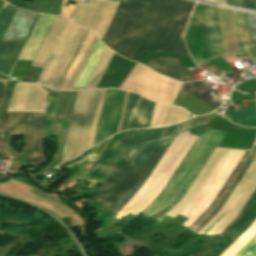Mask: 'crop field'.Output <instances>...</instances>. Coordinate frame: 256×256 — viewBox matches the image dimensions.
Masks as SVG:
<instances>
[{
  "mask_svg": "<svg viewBox=\"0 0 256 256\" xmlns=\"http://www.w3.org/2000/svg\"><path fill=\"white\" fill-rule=\"evenodd\" d=\"M193 4L182 0H121L102 41L138 63L160 52L188 54L179 36Z\"/></svg>",
  "mask_w": 256,
  "mask_h": 256,
  "instance_id": "crop-field-1",
  "label": "crop field"
},
{
  "mask_svg": "<svg viewBox=\"0 0 256 256\" xmlns=\"http://www.w3.org/2000/svg\"><path fill=\"white\" fill-rule=\"evenodd\" d=\"M185 122L144 129L132 150L166 151ZM148 151H130L91 201L118 214L144 184L164 154Z\"/></svg>",
  "mask_w": 256,
  "mask_h": 256,
  "instance_id": "crop-field-2",
  "label": "crop field"
},
{
  "mask_svg": "<svg viewBox=\"0 0 256 256\" xmlns=\"http://www.w3.org/2000/svg\"><path fill=\"white\" fill-rule=\"evenodd\" d=\"M225 135V132L206 128L165 191L143 214L153 217L172 205L164 213L167 214L183 198ZM226 152L227 150L225 149H216L184 198L167 214V216L174 218L177 214L180 215L193 202Z\"/></svg>",
  "mask_w": 256,
  "mask_h": 256,
  "instance_id": "crop-field-3",
  "label": "crop field"
},
{
  "mask_svg": "<svg viewBox=\"0 0 256 256\" xmlns=\"http://www.w3.org/2000/svg\"><path fill=\"white\" fill-rule=\"evenodd\" d=\"M105 91H78L61 163L92 146Z\"/></svg>",
  "mask_w": 256,
  "mask_h": 256,
  "instance_id": "crop-field-4",
  "label": "crop field"
},
{
  "mask_svg": "<svg viewBox=\"0 0 256 256\" xmlns=\"http://www.w3.org/2000/svg\"><path fill=\"white\" fill-rule=\"evenodd\" d=\"M197 138L189 134L174 139L151 176L116 218L121 220L129 213L137 215L146 208L162 191Z\"/></svg>",
  "mask_w": 256,
  "mask_h": 256,
  "instance_id": "crop-field-5",
  "label": "crop field"
},
{
  "mask_svg": "<svg viewBox=\"0 0 256 256\" xmlns=\"http://www.w3.org/2000/svg\"><path fill=\"white\" fill-rule=\"evenodd\" d=\"M185 41L191 56L216 58L225 54L216 7L197 5Z\"/></svg>",
  "mask_w": 256,
  "mask_h": 256,
  "instance_id": "crop-field-6",
  "label": "crop field"
},
{
  "mask_svg": "<svg viewBox=\"0 0 256 256\" xmlns=\"http://www.w3.org/2000/svg\"><path fill=\"white\" fill-rule=\"evenodd\" d=\"M256 187V157L250 164L249 168L236 185L220 211L198 232V234H202L213 222L214 220L226 209L230 208L205 234L214 235L218 234L227 223L238 213L243 204L249 198L251 193ZM256 198V189L247 200L245 205L239 211V213L228 223V225L219 233V234H227L232 227L241 219L250 205Z\"/></svg>",
  "mask_w": 256,
  "mask_h": 256,
  "instance_id": "crop-field-7",
  "label": "crop field"
},
{
  "mask_svg": "<svg viewBox=\"0 0 256 256\" xmlns=\"http://www.w3.org/2000/svg\"><path fill=\"white\" fill-rule=\"evenodd\" d=\"M6 81H0V106L3 102ZM43 113H16L7 112L0 127V140L2 128H11L10 135H25L28 153L32 165L47 162L43 153ZM0 157H7V153L2 149L0 142Z\"/></svg>",
  "mask_w": 256,
  "mask_h": 256,
  "instance_id": "crop-field-8",
  "label": "crop field"
},
{
  "mask_svg": "<svg viewBox=\"0 0 256 256\" xmlns=\"http://www.w3.org/2000/svg\"><path fill=\"white\" fill-rule=\"evenodd\" d=\"M86 29L68 21L37 83L56 89Z\"/></svg>",
  "mask_w": 256,
  "mask_h": 256,
  "instance_id": "crop-field-9",
  "label": "crop field"
},
{
  "mask_svg": "<svg viewBox=\"0 0 256 256\" xmlns=\"http://www.w3.org/2000/svg\"><path fill=\"white\" fill-rule=\"evenodd\" d=\"M125 94H126V92L116 90V89L107 90L105 100H104V104H103V108H102L100 121H99V125H98V129H97V133H96V137H95V141H94L93 145L98 144L99 142L103 141L105 138H107V137H109V136H111V135H113L117 132L118 122H119V118H120V114H121ZM128 94L129 93L127 92L125 102H124L123 111H122V115H121V120H120V124H119V128H118V132L120 130V126H121V122H122V118H123V114H124ZM131 94L132 93L129 94V98H128V102H127V106H126V110H125L121 130H123V128H124L125 119H126V115H127V110H128Z\"/></svg>",
  "mask_w": 256,
  "mask_h": 256,
  "instance_id": "crop-field-10",
  "label": "crop field"
},
{
  "mask_svg": "<svg viewBox=\"0 0 256 256\" xmlns=\"http://www.w3.org/2000/svg\"><path fill=\"white\" fill-rule=\"evenodd\" d=\"M102 1L89 0L88 4H79L71 20L88 28ZM118 3L117 1L104 0L91 22L89 29L100 39H102L108 27Z\"/></svg>",
  "mask_w": 256,
  "mask_h": 256,
  "instance_id": "crop-field-11",
  "label": "crop field"
},
{
  "mask_svg": "<svg viewBox=\"0 0 256 256\" xmlns=\"http://www.w3.org/2000/svg\"><path fill=\"white\" fill-rule=\"evenodd\" d=\"M97 41L96 36L92 33L79 61L77 62L64 90H72L84 64L86 63L95 43ZM105 45L98 39L86 65L84 66L73 90H78V89H84L90 75L92 74L97 62L99 61L104 49Z\"/></svg>",
  "mask_w": 256,
  "mask_h": 256,
  "instance_id": "crop-field-12",
  "label": "crop field"
},
{
  "mask_svg": "<svg viewBox=\"0 0 256 256\" xmlns=\"http://www.w3.org/2000/svg\"><path fill=\"white\" fill-rule=\"evenodd\" d=\"M35 85L16 83L7 111L44 112L48 88Z\"/></svg>",
  "mask_w": 256,
  "mask_h": 256,
  "instance_id": "crop-field-13",
  "label": "crop field"
},
{
  "mask_svg": "<svg viewBox=\"0 0 256 256\" xmlns=\"http://www.w3.org/2000/svg\"><path fill=\"white\" fill-rule=\"evenodd\" d=\"M256 153V145L252 149L251 152L246 151L239 164L227 180L226 184L214 199V201L210 204V206L188 227L194 233L217 211L221 203L224 201L242 172L245 170L251 159Z\"/></svg>",
  "mask_w": 256,
  "mask_h": 256,
  "instance_id": "crop-field-14",
  "label": "crop field"
},
{
  "mask_svg": "<svg viewBox=\"0 0 256 256\" xmlns=\"http://www.w3.org/2000/svg\"><path fill=\"white\" fill-rule=\"evenodd\" d=\"M146 64L152 70L178 81H186L188 79L189 81L198 80L187 71L177 58L159 57L146 62Z\"/></svg>",
  "mask_w": 256,
  "mask_h": 256,
  "instance_id": "crop-field-15",
  "label": "crop field"
},
{
  "mask_svg": "<svg viewBox=\"0 0 256 256\" xmlns=\"http://www.w3.org/2000/svg\"><path fill=\"white\" fill-rule=\"evenodd\" d=\"M37 16L17 9L1 42L26 40Z\"/></svg>",
  "mask_w": 256,
  "mask_h": 256,
  "instance_id": "crop-field-16",
  "label": "crop field"
},
{
  "mask_svg": "<svg viewBox=\"0 0 256 256\" xmlns=\"http://www.w3.org/2000/svg\"><path fill=\"white\" fill-rule=\"evenodd\" d=\"M154 104L134 94L126 129L149 127Z\"/></svg>",
  "mask_w": 256,
  "mask_h": 256,
  "instance_id": "crop-field-17",
  "label": "crop field"
},
{
  "mask_svg": "<svg viewBox=\"0 0 256 256\" xmlns=\"http://www.w3.org/2000/svg\"><path fill=\"white\" fill-rule=\"evenodd\" d=\"M68 19L55 18L32 64L44 67ZM69 21V20H68ZM68 23V22H67Z\"/></svg>",
  "mask_w": 256,
  "mask_h": 256,
  "instance_id": "crop-field-18",
  "label": "crop field"
},
{
  "mask_svg": "<svg viewBox=\"0 0 256 256\" xmlns=\"http://www.w3.org/2000/svg\"><path fill=\"white\" fill-rule=\"evenodd\" d=\"M141 131L142 129L130 131V133L128 132L129 133L128 136L125 138V140L123 141V143L121 144L117 152L114 154L112 159L109 161L107 166L104 168L101 174L96 178V180L93 183L88 185V187L90 188L92 186L94 187L96 184L103 183L105 181V179L112 173L113 169L116 167V165L114 164L117 162L119 157L120 156L125 157L126 153L130 149V147L134 144L136 138L138 137Z\"/></svg>",
  "mask_w": 256,
  "mask_h": 256,
  "instance_id": "crop-field-19",
  "label": "crop field"
},
{
  "mask_svg": "<svg viewBox=\"0 0 256 256\" xmlns=\"http://www.w3.org/2000/svg\"><path fill=\"white\" fill-rule=\"evenodd\" d=\"M234 20L239 47L256 65V50L249 44L245 16L242 13L234 12Z\"/></svg>",
  "mask_w": 256,
  "mask_h": 256,
  "instance_id": "crop-field-20",
  "label": "crop field"
},
{
  "mask_svg": "<svg viewBox=\"0 0 256 256\" xmlns=\"http://www.w3.org/2000/svg\"><path fill=\"white\" fill-rule=\"evenodd\" d=\"M222 116L235 124L247 127L256 126V106L242 107L241 110L233 113L230 105Z\"/></svg>",
  "mask_w": 256,
  "mask_h": 256,
  "instance_id": "crop-field-21",
  "label": "crop field"
},
{
  "mask_svg": "<svg viewBox=\"0 0 256 256\" xmlns=\"http://www.w3.org/2000/svg\"><path fill=\"white\" fill-rule=\"evenodd\" d=\"M183 90L195 96L196 98L202 100L203 102L207 103L210 107L214 109L220 105V103L214 101L213 99L207 96L214 90H212L200 81L186 83Z\"/></svg>",
  "mask_w": 256,
  "mask_h": 256,
  "instance_id": "crop-field-22",
  "label": "crop field"
},
{
  "mask_svg": "<svg viewBox=\"0 0 256 256\" xmlns=\"http://www.w3.org/2000/svg\"><path fill=\"white\" fill-rule=\"evenodd\" d=\"M256 219V200L243 216V218L234 226V228L227 234L238 239L255 221Z\"/></svg>",
  "mask_w": 256,
  "mask_h": 256,
  "instance_id": "crop-field-23",
  "label": "crop field"
},
{
  "mask_svg": "<svg viewBox=\"0 0 256 256\" xmlns=\"http://www.w3.org/2000/svg\"><path fill=\"white\" fill-rule=\"evenodd\" d=\"M129 131L121 132L118 134L112 145L109 147L97 167L91 172V174L87 177V179L91 180L92 182L94 179L99 175V173L103 170L106 166L110 158L113 156L117 148L119 147L121 141L126 137Z\"/></svg>",
  "mask_w": 256,
  "mask_h": 256,
  "instance_id": "crop-field-24",
  "label": "crop field"
},
{
  "mask_svg": "<svg viewBox=\"0 0 256 256\" xmlns=\"http://www.w3.org/2000/svg\"><path fill=\"white\" fill-rule=\"evenodd\" d=\"M114 52H112L110 49L106 47L100 61L98 62L93 74L91 75L87 85L85 88H96L112 55Z\"/></svg>",
  "mask_w": 256,
  "mask_h": 256,
  "instance_id": "crop-field-25",
  "label": "crop field"
},
{
  "mask_svg": "<svg viewBox=\"0 0 256 256\" xmlns=\"http://www.w3.org/2000/svg\"><path fill=\"white\" fill-rule=\"evenodd\" d=\"M56 95V91L50 90L45 110L44 138L52 134Z\"/></svg>",
  "mask_w": 256,
  "mask_h": 256,
  "instance_id": "crop-field-26",
  "label": "crop field"
},
{
  "mask_svg": "<svg viewBox=\"0 0 256 256\" xmlns=\"http://www.w3.org/2000/svg\"><path fill=\"white\" fill-rule=\"evenodd\" d=\"M16 8L10 6L5 2L1 12H0V39L2 38L7 26L9 25Z\"/></svg>",
  "mask_w": 256,
  "mask_h": 256,
  "instance_id": "crop-field-27",
  "label": "crop field"
},
{
  "mask_svg": "<svg viewBox=\"0 0 256 256\" xmlns=\"http://www.w3.org/2000/svg\"><path fill=\"white\" fill-rule=\"evenodd\" d=\"M18 42L0 44V73L13 53Z\"/></svg>",
  "mask_w": 256,
  "mask_h": 256,
  "instance_id": "crop-field-28",
  "label": "crop field"
},
{
  "mask_svg": "<svg viewBox=\"0 0 256 256\" xmlns=\"http://www.w3.org/2000/svg\"><path fill=\"white\" fill-rule=\"evenodd\" d=\"M32 216H28L21 213L12 212L3 208H0V220L5 222L7 219L16 220L21 222L31 223Z\"/></svg>",
  "mask_w": 256,
  "mask_h": 256,
  "instance_id": "crop-field-29",
  "label": "crop field"
},
{
  "mask_svg": "<svg viewBox=\"0 0 256 256\" xmlns=\"http://www.w3.org/2000/svg\"><path fill=\"white\" fill-rule=\"evenodd\" d=\"M109 139L105 140L104 142H102L101 144L98 145L96 150L91 155L90 159L87 161L86 164L83 165V167L79 170V172L76 174V176L74 178H72L71 182H73V181H75L77 179L80 180L83 177V175L86 173V171L89 168V166L95 161V159L100 154V152L103 150V148L105 147V145L107 144Z\"/></svg>",
  "mask_w": 256,
  "mask_h": 256,
  "instance_id": "crop-field-30",
  "label": "crop field"
},
{
  "mask_svg": "<svg viewBox=\"0 0 256 256\" xmlns=\"http://www.w3.org/2000/svg\"><path fill=\"white\" fill-rule=\"evenodd\" d=\"M90 35H91V32L88 31V33H87V35H86V37H85V39H84L80 49L78 50V52H77V54H76V56H75V58H74V60H73V62L71 64V66L69 68V70L67 71V73H66V75H65V77H64V79H63V81H62V83H61V85L59 87V89H61V90L63 89V87H64V85H65L69 75L71 74V72H72V70H73V68H74V66H75L79 56L81 55V53H82V51H83V49H84V47H85V45H86Z\"/></svg>",
  "mask_w": 256,
  "mask_h": 256,
  "instance_id": "crop-field-31",
  "label": "crop field"
},
{
  "mask_svg": "<svg viewBox=\"0 0 256 256\" xmlns=\"http://www.w3.org/2000/svg\"><path fill=\"white\" fill-rule=\"evenodd\" d=\"M230 5L256 10V0H229Z\"/></svg>",
  "mask_w": 256,
  "mask_h": 256,
  "instance_id": "crop-field-32",
  "label": "crop field"
},
{
  "mask_svg": "<svg viewBox=\"0 0 256 256\" xmlns=\"http://www.w3.org/2000/svg\"><path fill=\"white\" fill-rule=\"evenodd\" d=\"M247 16V22H248V28L250 33V39L251 41H256V16L248 15Z\"/></svg>",
  "mask_w": 256,
  "mask_h": 256,
  "instance_id": "crop-field-33",
  "label": "crop field"
},
{
  "mask_svg": "<svg viewBox=\"0 0 256 256\" xmlns=\"http://www.w3.org/2000/svg\"><path fill=\"white\" fill-rule=\"evenodd\" d=\"M96 147H97V146L86 150L84 153H82L81 156H79V157H77V158H75V159H73V160H71V161L62 163V164H60L59 166H57L56 168L59 170V169L65 167V166H68V165H71V164H74V163H76V162H78V161L83 160L86 156H88L91 152H93Z\"/></svg>",
  "mask_w": 256,
  "mask_h": 256,
  "instance_id": "crop-field-34",
  "label": "crop field"
},
{
  "mask_svg": "<svg viewBox=\"0 0 256 256\" xmlns=\"http://www.w3.org/2000/svg\"><path fill=\"white\" fill-rule=\"evenodd\" d=\"M12 91L13 90H6V93H5V98H4V102L2 104V107L0 109V125L2 123V120L4 118V115L6 113V110H7V107H8V103H9V100H10V97H11V94H12Z\"/></svg>",
  "mask_w": 256,
  "mask_h": 256,
  "instance_id": "crop-field-35",
  "label": "crop field"
},
{
  "mask_svg": "<svg viewBox=\"0 0 256 256\" xmlns=\"http://www.w3.org/2000/svg\"><path fill=\"white\" fill-rule=\"evenodd\" d=\"M200 67H202L203 69H205L206 71H208L211 74L217 71L215 68H213L212 66H210L207 63L202 65V66H200Z\"/></svg>",
  "mask_w": 256,
  "mask_h": 256,
  "instance_id": "crop-field-36",
  "label": "crop field"
}]
</instances>
